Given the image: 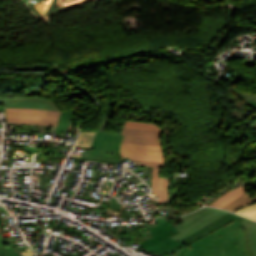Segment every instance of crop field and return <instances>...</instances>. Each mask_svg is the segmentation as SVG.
I'll return each mask as SVG.
<instances>
[{"label": "crop field", "mask_w": 256, "mask_h": 256, "mask_svg": "<svg viewBox=\"0 0 256 256\" xmlns=\"http://www.w3.org/2000/svg\"><path fill=\"white\" fill-rule=\"evenodd\" d=\"M244 192H245V189H244L243 185H240V186L236 187L235 189L229 191L222 197H220L218 200H216L210 206L223 208L225 205H227L229 202H231L236 197L242 195Z\"/></svg>", "instance_id": "crop-field-12"}, {"label": "crop field", "mask_w": 256, "mask_h": 256, "mask_svg": "<svg viewBox=\"0 0 256 256\" xmlns=\"http://www.w3.org/2000/svg\"><path fill=\"white\" fill-rule=\"evenodd\" d=\"M242 226L245 227V228H249V227H251V226H256V222L252 221V222L243 224Z\"/></svg>", "instance_id": "crop-field-24"}, {"label": "crop field", "mask_w": 256, "mask_h": 256, "mask_svg": "<svg viewBox=\"0 0 256 256\" xmlns=\"http://www.w3.org/2000/svg\"><path fill=\"white\" fill-rule=\"evenodd\" d=\"M242 218L241 216H237V215H234V214H227L223 217H221L219 220H217L216 222L202 228L201 230H199L198 232L194 233L193 235H191L190 237L180 241V242H183L187 245L191 244L193 241L233 222V221H236L238 219Z\"/></svg>", "instance_id": "crop-field-10"}, {"label": "crop field", "mask_w": 256, "mask_h": 256, "mask_svg": "<svg viewBox=\"0 0 256 256\" xmlns=\"http://www.w3.org/2000/svg\"><path fill=\"white\" fill-rule=\"evenodd\" d=\"M122 136L123 135H110L103 132H97L90 147L94 148V152L84 151L83 153H80L73 151L72 154L121 161L122 156L119 152V146Z\"/></svg>", "instance_id": "crop-field-4"}, {"label": "crop field", "mask_w": 256, "mask_h": 256, "mask_svg": "<svg viewBox=\"0 0 256 256\" xmlns=\"http://www.w3.org/2000/svg\"><path fill=\"white\" fill-rule=\"evenodd\" d=\"M69 119H70V110L62 112L56 134L60 135L61 130L67 131Z\"/></svg>", "instance_id": "crop-field-19"}, {"label": "crop field", "mask_w": 256, "mask_h": 256, "mask_svg": "<svg viewBox=\"0 0 256 256\" xmlns=\"http://www.w3.org/2000/svg\"><path fill=\"white\" fill-rule=\"evenodd\" d=\"M6 107H32L40 109L57 110L52 101L46 98L32 97V98H8L1 99Z\"/></svg>", "instance_id": "crop-field-9"}, {"label": "crop field", "mask_w": 256, "mask_h": 256, "mask_svg": "<svg viewBox=\"0 0 256 256\" xmlns=\"http://www.w3.org/2000/svg\"><path fill=\"white\" fill-rule=\"evenodd\" d=\"M8 122L58 125L61 112L31 108H6Z\"/></svg>", "instance_id": "crop-field-3"}, {"label": "crop field", "mask_w": 256, "mask_h": 256, "mask_svg": "<svg viewBox=\"0 0 256 256\" xmlns=\"http://www.w3.org/2000/svg\"><path fill=\"white\" fill-rule=\"evenodd\" d=\"M96 132L80 131L77 147H90Z\"/></svg>", "instance_id": "crop-field-15"}, {"label": "crop field", "mask_w": 256, "mask_h": 256, "mask_svg": "<svg viewBox=\"0 0 256 256\" xmlns=\"http://www.w3.org/2000/svg\"><path fill=\"white\" fill-rule=\"evenodd\" d=\"M138 165H148L153 166V180H152V190L153 195H158L160 203L168 201V179L158 177L159 167H164L165 163L159 162H149L141 160H132Z\"/></svg>", "instance_id": "crop-field-8"}, {"label": "crop field", "mask_w": 256, "mask_h": 256, "mask_svg": "<svg viewBox=\"0 0 256 256\" xmlns=\"http://www.w3.org/2000/svg\"><path fill=\"white\" fill-rule=\"evenodd\" d=\"M124 126L130 127V128L147 129V130H154V131H160V132L163 131V129L160 128L158 125L153 123H147V122H137V121L126 120Z\"/></svg>", "instance_id": "crop-field-14"}, {"label": "crop field", "mask_w": 256, "mask_h": 256, "mask_svg": "<svg viewBox=\"0 0 256 256\" xmlns=\"http://www.w3.org/2000/svg\"><path fill=\"white\" fill-rule=\"evenodd\" d=\"M8 256H30L28 253H33L29 247H13L6 248Z\"/></svg>", "instance_id": "crop-field-17"}, {"label": "crop field", "mask_w": 256, "mask_h": 256, "mask_svg": "<svg viewBox=\"0 0 256 256\" xmlns=\"http://www.w3.org/2000/svg\"><path fill=\"white\" fill-rule=\"evenodd\" d=\"M122 134H124L122 143L125 144L161 146L160 132L137 130L124 127Z\"/></svg>", "instance_id": "crop-field-7"}, {"label": "crop field", "mask_w": 256, "mask_h": 256, "mask_svg": "<svg viewBox=\"0 0 256 256\" xmlns=\"http://www.w3.org/2000/svg\"><path fill=\"white\" fill-rule=\"evenodd\" d=\"M7 255L5 247L2 243V233H0V256Z\"/></svg>", "instance_id": "crop-field-23"}, {"label": "crop field", "mask_w": 256, "mask_h": 256, "mask_svg": "<svg viewBox=\"0 0 256 256\" xmlns=\"http://www.w3.org/2000/svg\"><path fill=\"white\" fill-rule=\"evenodd\" d=\"M242 219H245V218H242ZM242 219H240V220H242ZM240 220H238V221H240ZM238 221L233 222V223L209 234L208 236L192 243L191 245H189L192 248L190 249L187 256H217V254L214 250V247H213L212 240L222 236L223 234H225L226 232H228L230 230H234L238 227H242Z\"/></svg>", "instance_id": "crop-field-5"}, {"label": "crop field", "mask_w": 256, "mask_h": 256, "mask_svg": "<svg viewBox=\"0 0 256 256\" xmlns=\"http://www.w3.org/2000/svg\"><path fill=\"white\" fill-rule=\"evenodd\" d=\"M234 92L239 94L242 98H244L248 103H250L252 106L256 107V94H248V93H242L241 91L237 89H232Z\"/></svg>", "instance_id": "crop-field-21"}, {"label": "crop field", "mask_w": 256, "mask_h": 256, "mask_svg": "<svg viewBox=\"0 0 256 256\" xmlns=\"http://www.w3.org/2000/svg\"><path fill=\"white\" fill-rule=\"evenodd\" d=\"M226 213L228 212L215 208H202L195 213L178 218L172 223L180 233L173 235L170 238L179 241L198 231L202 227L216 221Z\"/></svg>", "instance_id": "crop-field-2"}, {"label": "crop field", "mask_w": 256, "mask_h": 256, "mask_svg": "<svg viewBox=\"0 0 256 256\" xmlns=\"http://www.w3.org/2000/svg\"><path fill=\"white\" fill-rule=\"evenodd\" d=\"M70 157H72V158H77V159H83V160H92V161H99V162H107V163H111V164L116 163V161L94 159V158H88V157H82V156H74V155H71Z\"/></svg>", "instance_id": "crop-field-22"}, {"label": "crop field", "mask_w": 256, "mask_h": 256, "mask_svg": "<svg viewBox=\"0 0 256 256\" xmlns=\"http://www.w3.org/2000/svg\"><path fill=\"white\" fill-rule=\"evenodd\" d=\"M120 152L123 157L130 159L164 162L162 147L121 144Z\"/></svg>", "instance_id": "crop-field-6"}, {"label": "crop field", "mask_w": 256, "mask_h": 256, "mask_svg": "<svg viewBox=\"0 0 256 256\" xmlns=\"http://www.w3.org/2000/svg\"><path fill=\"white\" fill-rule=\"evenodd\" d=\"M254 202H256V196L252 197L248 193H244L241 197L233 200L231 203L225 206L224 209L233 212L242 206H245Z\"/></svg>", "instance_id": "crop-field-13"}, {"label": "crop field", "mask_w": 256, "mask_h": 256, "mask_svg": "<svg viewBox=\"0 0 256 256\" xmlns=\"http://www.w3.org/2000/svg\"><path fill=\"white\" fill-rule=\"evenodd\" d=\"M235 213H238V214L247 216L253 220H256V203L242 207L239 210L235 211Z\"/></svg>", "instance_id": "crop-field-18"}, {"label": "crop field", "mask_w": 256, "mask_h": 256, "mask_svg": "<svg viewBox=\"0 0 256 256\" xmlns=\"http://www.w3.org/2000/svg\"><path fill=\"white\" fill-rule=\"evenodd\" d=\"M155 220L158 227L150 228V226H148L153 238L139 242L141 244L137 249L142 247L163 256L180 246L182 243L168 238L169 236L178 233L177 229L168 219L159 218Z\"/></svg>", "instance_id": "crop-field-1"}, {"label": "crop field", "mask_w": 256, "mask_h": 256, "mask_svg": "<svg viewBox=\"0 0 256 256\" xmlns=\"http://www.w3.org/2000/svg\"><path fill=\"white\" fill-rule=\"evenodd\" d=\"M249 221H252V220L245 219L243 221H240V223L243 224V223H246V222H249Z\"/></svg>", "instance_id": "crop-field-25"}, {"label": "crop field", "mask_w": 256, "mask_h": 256, "mask_svg": "<svg viewBox=\"0 0 256 256\" xmlns=\"http://www.w3.org/2000/svg\"><path fill=\"white\" fill-rule=\"evenodd\" d=\"M232 232H233V235H234V239L237 243L238 255L239 256H248L246 246H245V242H244V238H243V235L241 233V229L238 228V229H236L235 231H232Z\"/></svg>", "instance_id": "crop-field-16"}, {"label": "crop field", "mask_w": 256, "mask_h": 256, "mask_svg": "<svg viewBox=\"0 0 256 256\" xmlns=\"http://www.w3.org/2000/svg\"><path fill=\"white\" fill-rule=\"evenodd\" d=\"M218 256H238L232 232L213 241Z\"/></svg>", "instance_id": "crop-field-11"}, {"label": "crop field", "mask_w": 256, "mask_h": 256, "mask_svg": "<svg viewBox=\"0 0 256 256\" xmlns=\"http://www.w3.org/2000/svg\"><path fill=\"white\" fill-rule=\"evenodd\" d=\"M253 256H256V227L246 229Z\"/></svg>", "instance_id": "crop-field-20"}]
</instances>
